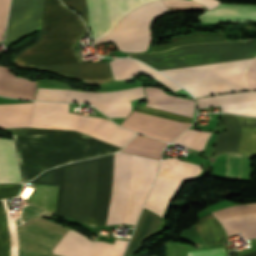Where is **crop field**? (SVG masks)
<instances>
[{
	"mask_svg": "<svg viewBox=\"0 0 256 256\" xmlns=\"http://www.w3.org/2000/svg\"><path fill=\"white\" fill-rule=\"evenodd\" d=\"M148 107L158 108L186 116H191L193 101L168 95L159 88L146 87Z\"/></svg>",
	"mask_w": 256,
	"mask_h": 256,
	"instance_id": "4a817a6b",
	"label": "crop field"
},
{
	"mask_svg": "<svg viewBox=\"0 0 256 256\" xmlns=\"http://www.w3.org/2000/svg\"><path fill=\"white\" fill-rule=\"evenodd\" d=\"M21 188L20 184H0V199L15 197Z\"/></svg>",
	"mask_w": 256,
	"mask_h": 256,
	"instance_id": "730fd06b",
	"label": "crop field"
},
{
	"mask_svg": "<svg viewBox=\"0 0 256 256\" xmlns=\"http://www.w3.org/2000/svg\"><path fill=\"white\" fill-rule=\"evenodd\" d=\"M202 21H255L256 5L219 4L216 9L199 15Z\"/></svg>",
	"mask_w": 256,
	"mask_h": 256,
	"instance_id": "d9b57169",
	"label": "crop field"
},
{
	"mask_svg": "<svg viewBox=\"0 0 256 256\" xmlns=\"http://www.w3.org/2000/svg\"><path fill=\"white\" fill-rule=\"evenodd\" d=\"M190 124L170 121L133 111L121 126L170 142Z\"/></svg>",
	"mask_w": 256,
	"mask_h": 256,
	"instance_id": "cbeb9de0",
	"label": "crop field"
},
{
	"mask_svg": "<svg viewBox=\"0 0 256 256\" xmlns=\"http://www.w3.org/2000/svg\"><path fill=\"white\" fill-rule=\"evenodd\" d=\"M213 214L227 236L241 231L246 238L256 237V204L228 207Z\"/></svg>",
	"mask_w": 256,
	"mask_h": 256,
	"instance_id": "5142ce71",
	"label": "crop field"
},
{
	"mask_svg": "<svg viewBox=\"0 0 256 256\" xmlns=\"http://www.w3.org/2000/svg\"><path fill=\"white\" fill-rule=\"evenodd\" d=\"M109 63L115 80L129 78L140 72H146L150 76L156 78L157 80L169 86L174 91L181 89L179 86H177L175 83H173L171 80H169L162 74L158 73L149 66L140 63L136 60L114 59Z\"/></svg>",
	"mask_w": 256,
	"mask_h": 256,
	"instance_id": "733c2abd",
	"label": "crop field"
},
{
	"mask_svg": "<svg viewBox=\"0 0 256 256\" xmlns=\"http://www.w3.org/2000/svg\"><path fill=\"white\" fill-rule=\"evenodd\" d=\"M167 7H175V6H190V7H203L193 1L187 0H163Z\"/></svg>",
	"mask_w": 256,
	"mask_h": 256,
	"instance_id": "ae1a2a85",
	"label": "crop field"
},
{
	"mask_svg": "<svg viewBox=\"0 0 256 256\" xmlns=\"http://www.w3.org/2000/svg\"><path fill=\"white\" fill-rule=\"evenodd\" d=\"M44 0H12L5 44L39 27Z\"/></svg>",
	"mask_w": 256,
	"mask_h": 256,
	"instance_id": "22f410ed",
	"label": "crop field"
},
{
	"mask_svg": "<svg viewBox=\"0 0 256 256\" xmlns=\"http://www.w3.org/2000/svg\"><path fill=\"white\" fill-rule=\"evenodd\" d=\"M188 256H226V254L223 248H219L207 251L188 253Z\"/></svg>",
	"mask_w": 256,
	"mask_h": 256,
	"instance_id": "d3111659",
	"label": "crop field"
},
{
	"mask_svg": "<svg viewBox=\"0 0 256 256\" xmlns=\"http://www.w3.org/2000/svg\"><path fill=\"white\" fill-rule=\"evenodd\" d=\"M159 160L115 153L43 172L33 184L59 186L56 213L90 226L135 224Z\"/></svg>",
	"mask_w": 256,
	"mask_h": 256,
	"instance_id": "8a807250",
	"label": "crop field"
},
{
	"mask_svg": "<svg viewBox=\"0 0 256 256\" xmlns=\"http://www.w3.org/2000/svg\"><path fill=\"white\" fill-rule=\"evenodd\" d=\"M10 226L12 228L13 239H14V249H13V239L11 228L5 216L4 210ZM0 201V256H12V249H13V256H18V231L17 225L14 221L13 215L9 212L6 201Z\"/></svg>",
	"mask_w": 256,
	"mask_h": 256,
	"instance_id": "92a150f3",
	"label": "crop field"
},
{
	"mask_svg": "<svg viewBox=\"0 0 256 256\" xmlns=\"http://www.w3.org/2000/svg\"><path fill=\"white\" fill-rule=\"evenodd\" d=\"M172 42L166 44V45H160L155 46L151 50V52L156 51H164L168 49H172L177 46L186 45L190 43H198V42H221L225 41L222 37V35H216V34H204V33H196L184 37H179L175 39H171Z\"/></svg>",
	"mask_w": 256,
	"mask_h": 256,
	"instance_id": "00972430",
	"label": "crop field"
},
{
	"mask_svg": "<svg viewBox=\"0 0 256 256\" xmlns=\"http://www.w3.org/2000/svg\"><path fill=\"white\" fill-rule=\"evenodd\" d=\"M246 76L250 89L256 90V57ZM198 100L201 108L221 105L223 112L256 116V91L216 95Z\"/></svg>",
	"mask_w": 256,
	"mask_h": 256,
	"instance_id": "d1516ede",
	"label": "crop field"
},
{
	"mask_svg": "<svg viewBox=\"0 0 256 256\" xmlns=\"http://www.w3.org/2000/svg\"><path fill=\"white\" fill-rule=\"evenodd\" d=\"M227 132L218 135L215 156L223 152L256 154V119L223 114Z\"/></svg>",
	"mask_w": 256,
	"mask_h": 256,
	"instance_id": "3316defc",
	"label": "crop field"
},
{
	"mask_svg": "<svg viewBox=\"0 0 256 256\" xmlns=\"http://www.w3.org/2000/svg\"><path fill=\"white\" fill-rule=\"evenodd\" d=\"M200 172V166L182 162L176 158L162 161L145 208L163 216L168 201L178 190L181 181L195 177ZM161 221V218L144 209L124 256H131L134 251L139 249L141 241L155 233Z\"/></svg>",
	"mask_w": 256,
	"mask_h": 256,
	"instance_id": "412701ff",
	"label": "crop field"
},
{
	"mask_svg": "<svg viewBox=\"0 0 256 256\" xmlns=\"http://www.w3.org/2000/svg\"><path fill=\"white\" fill-rule=\"evenodd\" d=\"M164 12L167 9L161 0L146 4L124 17L108 35L95 44L112 41L124 52H142L151 40L152 20Z\"/></svg>",
	"mask_w": 256,
	"mask_h": 256,
	"instance_id": "e52e79f7",
	"label": "crop field"
},
{
	"mask_svg": "<svg viewBox=\"0 0 256 256\" xmlns=\"http://www.w3.org/2000/svg\"><path fill=\"white\" fill-rule=\"evenodd\" d=\"M87 33L77 14L59 0H45L38 40L15 55L12 62L81 80L112 78L107 62L82 63L74 51L76 40Z\"/></svg>",
	"mask_w": 256,
	"mask_h": 256,
	"instance_id": "34b2d1b8",
	"label": "crop field"
},
{
	"mask_svg": "<svg viewBox=\"0 0 256 256\" xmlns=\"http://www.w3.org/2000/svg\"><path fill=\"white\" fill-rule=\"evenodd\" d=\"M9 0H0V41L6 25V15L8 13Z\"/></svg>",
	"mask_w": 256,
	"mask_h": 256,
	"instance_id": "eef30255",
	"label": "crop field"
},
{
	"mask_svg": "<svg viewBox=\"0 0 256 256\" xmlns=\"http://www.w3.org/2000/svg\"><path fill=\"white\" fill-rule=\"evenodd\" d=\"M77 11L92 32L93 40L110 31L127 13L153 0H61Z\"/></svg>",
	"mask_w": 256,
	"mask_h": 256,
	"instance_id": "d8731c3e",
	"label": "crop field"
},
{
	"mask_svg": "<svg viewBox=\"0 0 256 256\" xmlns=\"http://www.w3.org/2000/svg\"><path fill=\"white\" fill-rule=\"evenodd\" d=\"M33 103L0 105V127H27ZM69 103L34 102L28 127L76 130L123 147L136 133L96 117L68 113ZM12 128L23 182L51 166L119 148L76 131Z\"/></svg>",
	"mask_w": 256,
	"mask_h": 256,
	"instance_id": "ac0d7876",
	"label": "crop field"
},
{
	"mask_svg": "<svg viewBox=\"0 0 256 256\" xmlns=\"http://www.w3.org/2000/svg\"><path fill=\"white\" fill-rule=\"evenodd\" d=\"M127 242L118 239L113 244L90 242L85 236L70 230L52 252L62 256H122Z\"/></svg>",
	"mask_w": 256,
	"mask_h": 256,
	"instance_id": "28ad6ade",
	"label": "crop field"
},
{
	"mask_svg": "<svg viewBox=\"0 0 256 256\" xmlns=\"http://www.w3.org/2000/svg\"><path fill=\"white\" fill-rule=\"evenodd\" d=\"M194 1L204 4L208 9L216 7L220 2L218 0H194Z\"/></svg>",
	"mask_w": 256,
	"mask_h": 256,
	"instance_id": "750c4746",
	"label": "crop field"
},
{
	"mask_svg": "<svg viewBox=\"0 0 256 256\" xmlns=\"http://www.w3.org/2000/svg\"><path fill=\"white\" fill-rule=\"evenodd\" d=\"M135 110L144 112L147 114L159 116L162 118L170 119V120L183 121V122H189V123H191V120H192V118H188V117H184V116H180V115H176V114H172V113H168V112H164V111H160L152 108H147L139 105L136 106Z\"/></svg>",
	"mask_w": 256,
	"mask_h": 256,
	"instance_id": "4177f3b9",
	"label": "crop field"
},
{
	"mask_svg": "<svg viewBox=\"0 0 256 256\" xmlns=\"http://www.w3.org/2000/svg\"><path fill=\"white\" fill-rule=\"evenodd\" d=\"M164 145L165 143L147 136L137 135L120 151L159 159L161 149Z\"/></svg>",
	"mask_w": 256,
	"mask_h": 256,
	"instance_id": "dafd665d",
	"label": "crop field"
},
{
	"mask_svg": "<svg viewBox=\"0 0 256 256\" xmlns=\"http://www.w3.org/2000/svg\"><path fill=\"white\" fill-rule=\"evenodd\" d=\"M256 40L187 45L163 53L129 56L162 70L254 58Z\"/></svg>",
	"mask_w": 256,
	"mask_h": 256,
	"instance_id": "dd49c442",
	"label": "crop field"
},
{
	"mask_svg": "<svg viewBox=\"0 0 256 256\" xmlns=\"http://www.w3.org/2000/svg\"><path fill=\"white\" fill-rule=\"evenodd\" d=\"M20 182L21 174L14 142L0 138V183Z\"/></svg>",
	"mask_w": 256,
	"mask_h": 256,
	"instance_id": "214f88e0",
	"label": "crop field"
},
{
	"mask_svg": "<svg viewBox=\"0 0 256 256\" xmlns=\"http://www.w3.org/2000/svg\"><path fill=\"white\" fill-rule=\"evenodd\" d=\"M253 59L162 70L195 97L250 90L246 72Z\"/></svg>",
	"mask_w": 256,
	"mask_h": 256,
	"instance_id": "f4fd0767",
	"label": "crop field"
},
{
	"mask_svg": "<svg viewBox=\"0 0 256 256\" xmlns=\"http://www.w3.org/2000/svg\"><path fill=\"white\" fill-rule=\"evenodd\" d=\"M209 135V132L189 129L184 134H182L178 139H176L173 143H182L188 146L189 148L202 151Z\"/></svg>",
	"mask_w": 256,
	"mask_h": 256,
	"instance_id": "a9b5d70f",
	"label": "crop field"
},
{
	"mask_svg": "<svg viewBox=\"0 0 256 256\" xmlns=\"http://www.w3.org/2000/svg\"><path fill=\"white\" fill-rule=\"evenodd\" d=\"M143 87L108 93L37 88L35 99L85 101L94 104L110 117H126L130 101L143 97Z\"/></svg>",
	"mask_w": 256,
	"mask_h": 256,
	"instance_id": "5a996713",
	"label": "crop field"
},
{
	"mask_svg": "<svg viewBox=\"0 0 256 256\" xmlns=\"http://www.w3.org/2000/svg\"><path fill=\"white\" fill-rule=\"evenodd\" d=\"M35 84L36 82L15 77L8 69L0 67V95L34 100Z\"/></svg>",
	"mask_w": 256,
	"mask_h": 256,
	"instance_id": "bc2a9ffb",
	"label": "crop field"
}]
</instances>
